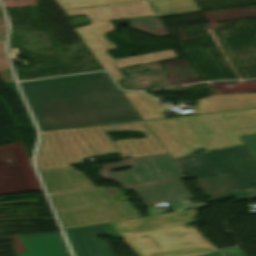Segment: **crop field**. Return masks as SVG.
I'll use <instances>...</instances> for the list:
<instances>
[{
    "label": "crop field",
    "instance_id": "1",
    "mask_svg": "<svg viewBox=\"0 0 256 256\" xmlns=\"http://www.w3.org/2000/svg\"><path fill=\"white\" fill-rule=\"evenodd\" d=\"M40 131L142 120L104 72L20 83Z\"/></svg>",
    "mask_w": 256,
    "mask_h": 256
},
{
    "label": "crop field",
    "instance_id": "2",
    "mask_svg": "<svg viewBox=\"0 0 256 256\" xmlns=\"http://www.w3.org/2000/svg\"><path fill=\"white\" fill-rule=\"evenodd\" d=\"M69 15L86 14L91 24L128 19L131 28L162 37L170 35L164 23L148 0H55ZM90 24V25H91ZM76 32L116 81L125 78L118 69L137 64L175 58L173 49L115 60L88 26L75 28Z\"/></svg>",
    "mask_w": 256,
    "mask_h": 256
},
{
    "label": "crop field",
    "instance_id": "3",
    "mask_svg": "<svg viewBox=\"0 0 256 256\" xmlns=\"http://www.w3.org/2000/svg\"><path fill=\"white\" fill-rule=\"evenodd\" d=\"M106 131H139L147 138L112 142ZM44 138L38 155L39 169L71 166L86 156L120 153L122 158L164 153L158 139L144 121L78 129L43 132ZM78 165V164H77Z\"/></svg>",
    "mask_w": 256,
    "mask_h": 256
},
{
    "label": "crop field",
    "instance_id": "4",
    "mask_svg": "<svg viewBox=\"0 0 256 256\" xmlns=\"http://www.w3.org/2000/svg\"><path fill=\"white\" fill-rule=\"evenodd\" d=\"M145 123L171 158L242 145L239 136L256 134V108L182 118L147 120Z\"/></svg>",
    "mask_w": 256,
    "mask_h": 256
},
{
    "label": "crop field",
    "instance_id": "5",
    "mask_svg": "<svg viewBox=\"0 0 256 256\" xmlns=\"http://www.w3.org/2000/svg\"><path fill=\"white\" fill-rule=\"evenodd\" d=\"M195 214L196 211L193 209L112 222L110 225L139 256H152L154 253L215 250L194 227L186 226L187 223L193 221ZM146 235H151L161 251L158 250L151 238H140Z\"/></svg>",
    "mask_w": 256,
    "mask_h": 256
},
{
    "label": "crop field",
    "instance_id": "6",
    "mask_svg": "<svg viewBox=\"0 0 256 256\" xmlns=\"http://www.w3.org/2000/svg\"><path fill=\"white\" fill-rule=\"evenodd\" d=\"M66 229L140 217L117 189H91L51 196Z\"/></svg>",
    "mask_w": 256,
    "mask_h": 256
},
{
    "label": "crop field",
    "instance_id": "7",
    "mask_svg": "<svg viewBox=\"0 0 256 256\" xmlns=\"http://www.w3.org/2000/svg\"><path fill=\"white\" fill-rule=\"evenodd\" d=\"M174 160L188 178L228 176L235 190L256 188V162L245 145Z\"/></svg>",
    "mask_w": 256,
    "mask_h": 256
},
{
    "label": "crop field",
    "instance_id": "8",
    "mask_svg": "<svg viewBox=\"0 0 256 256\" xmlns=\"http://www.w3.org/2000/svg\"><path fill=\"white\" fill-rule=\"evenodd\" d=\"M134 166L130 171L115 172L111 169ZM103 179L120 183L130 188L160 180L184 179L180 168L168 153L134 157L119 163L105 165L100 170Z\"/></svg>",
    "mask_w": 256,
    "mask_h": 256
},
{
    "label": "crop field",
    "instance_id": "9",
    "mask_svg": "<svg viewBox=\"0 0 256 256\" xmlns=\"http://www.w3.org/2000/svg\"><path fill=\"white\" fill-rule=\"evenodd\" d=\"M42 190L22 142L0 147V194Z\"/></svg>",
    "mask_w": 256,
    "mask_h": 256
},
{
    "label": "crop field",
    "instance_id": "10",
    "mask_svg": "<svg viewBox=\"0 0 256 256\" xmlns=\"http://www.w3.org/2000/svg\"><path fill=\"white\" fill-rule=\"evenodd\" d=\"M131 189L137 191L148 205L169 201L173 212L207 206L190 203V195L181 180L160 181Z\"/></svg>",
    "mask_w": 256,
    "mask_h": 256
},
{
    "label": "crop field",
    "instance_id": "11",
    "mask_svg": "<svg viewBox=\"0 0 256 256\" xmlns=\"http://www.w3.org/2000/svg\"><path fill=\"white\" fill-rule=\"evenodd\" d=\"M77 256H113L105 241L96 236L119 237L107 224L66 230Z\"/></svg>",
    "mask_w": 256,
    "mask_h": 256
},
{
    "label": "crop field",
    "instance_id": "12",
    "mask_svg": "<svg viewBox=\"0 0 256 256\" xmlns=\"http://www.w3.org/2000/svg\"><path fill=\"white\" fill-rule=\"evenodd\" d=\"M25 253L18 256H70L60 233L18 235Z\"/></svg>",
    "mask_w": 256,
    "mask_h": 256
},
{
    "label": "crop field",
    "instance_id": "13",
    "mask_svg": "<svg viewBox=\"0 0 256 256\" xmlns=\"http://www.w3.org/2000/svg\"><path fill=\"white\" fill-rule=\"evenodd\" d=\"M256 107V93L220 94L197 100V113L217 112Z\"/></svg>",
    "mask_w": 256,
    "mask_h": 256
},
{
    "label": "crop field",
    "instance_id": "14",
    "mask_svg": "<svg viewBox=\"0 0 256 256\" xmlns=\"http://www.w3.org/2000/svg\"><path fill=\"white\" fill-rule=\"evenodd\" d=\"M50 193L94 186L81 172L72 167L40 171Z\"/></svg>",
    "mask_w": 256,
    "mask_h": 256
},
{
    "label": "crop field",
    "instance_id": "15",
    "mask_svg": "<svg viewBox=\"0 0 256 256\" xmlns=\"http://www.w3.org/2000/svg\"><path fill=\"white\" fill-rule=\"evenodd\" d=\"M197 184L204 195L215 200H222L235 195L241 201L256 198V189L234 191L227 177L198 178Z\"/></svg>",
    "mask_w": 256,
    "mask_h": 256
},
{
    "label": "crop field",
    "instance_id": "16",
    "mask_svg": "<svg viewBox=\"0 0 256 256\" xmlns=\"http://www.w3.org/2000/svg\"><path fill=\"white\" fill-rule=\"evenodd\" d=\"M143 120L163 118V112L167 109L145 93L123 92Z\"/></svg>",
    "mask_w": 256,
    "mask_h": 256
},
{
    "label": "crop field",
    "instance_id": "17",
    "mask_svg": "<svg viewBox=\"0 0 256 256\" xmlns=\"http://www.w3.org/2000/svg\"><path fill=\"white\" fill-rule=\"evenodd\" d=\"M160 17L198 13L201 10L193 0H149Z\"/></svg>",
    "mask_w": 256,
    "mask_h": 256
},
{
    "label": "crop field",
    "instance_id": "18",
    "mask_svg": "<svg viewBox=\"0 0 256 256\" xmlns=\"http://www.w3.org/2000/svg\"><path fill=\"white\" fill-rule=\"evenodd\" d=\"M241 139L256 160V135L243 136Z\"/></svg>",
    "mask_w": 256,
    "mask_h": 256
},
{
    "label": "crop field",
    "instance_id": "19",
    "mask_svg": "<svg viewBox=\"0 0 256 256\" xmlns=\"http://www.w3.org/2000/svg\"><path fill=\"white\" fill-rule=\"evenodd\" d=\"M203 256H245V255L242 253L240 247H238L234 249L222 250V251L206 254Z\"/></svg>",
    "mask_w": 256,
    "mask_h": 256
},
{
    "label": "crop field",
    "instance_id": "20",
    "mask_svg": "<svg viewBox=\"0 0 256 256\" xmlns=\"http://www.w3.org/2000/svg\"><path fill=\"white\" fill-rule=\"evenodd\" d=\"M205 252H195V253H180V254H165V255H155V256H197Z\"/></svg>",
    "mask_w": 256,
    "mask_h": 256
},
{
    "label": "crop field",
    "instance_id": "21",
    "mask_svg": "<svg viewBox=\"0 0 256 256\" xmlns=\"http://www.w3.org/2000/svg\"><path fill=\"white\" fill-rule=\"evenodd\" d=\"M161 210L159 208H155V207H148L147 210V215L148 216H153V215H157V214H161Z\"/></svg>",
    "mask_w": 256,
    "mask_h": 256
},
{
    "label": "crop field",
    "instance_id": "22",
    "mask_svg": "<svg viewBox=\"0 0 256 256\" xmlns=\"http://www.w3.org/2000/svg\"><path fill=\"white\" fill-rule=\"evenodd\" d=\"M194 1H201V0H194Z\"/></svg>",
    "mask_w": 256,
    "mask_h": 256
}]
</instances>
